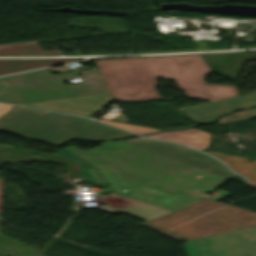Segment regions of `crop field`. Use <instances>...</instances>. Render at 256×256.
<instances>
[{
    "instance_id": "3",
    "label": "crop field",
    "mask_w": 256,
    "mask_h": 256,
    "mask_svg": "<svg viewBox=\"0 0 256 256\" xmlns=\"http://www.w3.org/2000/svg\"><path fill=\"white\" fill-rule=\"evenodd\" d=\"M84 152L142 182L194 167L124 141L102 143Z\"/></svg>"
},
{
    "instance_id": "9",
    "label": "crop field",
    "mask_w": 256,
    "mask_h": 256,
    "mask_svg": "<svg viewBox=\"0 0 256 256\" xmlns=\"http://www.w3.org/2000/svg\"><path fill=\"white\" fill-rule=\"evenodd\" d=\"M114 97L109 91L64 97L27 104L26 106L50 109L71 114L91 117L106 105L111 103Z\"/></svg>"
},
{
    "instance_id": "21",
    "label": "crop field",
    "mask_w": 256,
    "mask_h": 256,
    "mask_svg": "<svg viewBox=\"0 0 256 256\" xmlns=\"http://www.w3.org/2000/svg\"><path fill=\"white\" fill-rule=\"evenodd\" d=\"M53 76L56 77L59 81H62V80L74 78L75 74L73 72H69V73H63V74H56Z\"/></svg>"
},
{
    "instance_id": "18",
    "label": "crop field",
    "mask_w": 256,
    "mask_h": 256,
    "mask_svg": "<svg viewBox=\"0 0 256 256\" xmlns=\"http://www.w3.org/2000/svg\"><path fill=\"white\" fill-rule=\"evenodd\" d=\"M96 120H99V119H96ZM99 121H102L104 123L116 126L118 128H121V129H124V130H127V131H130V132L138 134V135L158 131V130H154V129L138 127V126L122 124V123H116V122H111V121H105V120H99Z\"/></svg>"
},
{
    "instance_id": "7",
    "label": "crop field",
    "mask_w": 256,
    "mask_h": 256,
    "mask_svg": "<svg viewBox=\"0 0 256 256\" xmlns=\"http://www.w3.org/2000/svg\"><path fill=\"white\" fill-rule=\"evenodd\" d=\"M227 180L228 179L226 178L194 167L145 183L158 185L171 190L192 194L202 198L217 200L233 194L220 190L218 192L223 197H209L205 192L215 190Z\"/></svg>"
},
{
    "instance_id": "16",
    "label": "crop field",
    "mask_w": 256,
    "mask_h": 256,
    "mask_svg": "<svg viewBox=\"0 0 256 256\" xmlns=\"http://www.w3.org/2000/svg\"><path fill=\"white\" fill-rule=\"evenodd\" d=\"M56 50L42 52L37 43L0 49V55H59Z\"/></svg>"
},
{
    "instance_id": "12",
    "label": "crop field",
    "mask_w": 256,
    "mask_h": 256,
    "mask_svg": "<svg viewBox=\"0 0 256 256\" xmlns=\"http://www.w3.org/2000/svg\"><path fill=\"white\" fill-rule=\"evenodd\" d=\"M103 199L105 203L109 204L110 206L119 210H123L145 221H148L155 217L171 212L168 210H164L146 203L131 200L115 194L109 195Z\"/></svg>"
},
{
    "instance_id": "22",
    "label": "crop field",
    "mask_w": 256,
    "mask_h": 256,
    "mask_svg": "<svg viewBox=\"0 0 256 256\" xmlns=\"http://www.w3.org/2000/svg\"><path fill=\"white\" fill-rule=\"evenodd\" d=\"M9 85H7L3 80L0 79V93L8 92V91H13Z\"/></svg>"
},
{
    "instance_id": "14",
    "label": "crop field",
    "mask_w": 256,
    "mask_h": 256,
    "mask_svg": "<svg viewBox=\"0 0 256 256\" xmlns=\"http://www.w3.org/2000/svg\"><path fill=\"white\" fill-rule=\"evenodd\" d=\"M76 59L66 60H0V75L32 68H38L59 63L74 62Z\"/></svg>"
},
{
    "instance_id": "19",
    "label": "crop field",
    "mask_w": 256,
    "mask_h": 256,
    "mask_svg": "<svg viewBox=\"0 0 256 256\" xmlns=\"http://www.w3.org/2000/svg\"><path fill=\"white\" fill-rule=\"evenodd\" d=\"M249 107H256V92L241 95L238 98L236 110L245 109Z\"/></svg>"
},
{
    "instance_id": "2",
    "label": "crop field",
    "mask_w": 256,
    "mask_h": 256,
    "mask_svg": "<svg viewBox=\"0 0 256 256\" xmlns=\"http://www.w3.org/2000/svg\"><path fill=\"white\" fill-rule=\"evenodd\" d=\"M0 131L51 145L74 138L105 141L133 136L85 118L18 106L0 117Z\"/></svg>"
},
{
    "instance_id": "5",
    "label": "crop field",
    "mask_w": 256,
    "mask_h": 256,
    "mask_svg": "<svg viewBox=\"0 0 256 256\" xmlns=\"http://www.w3.org/2000/svg\"><path fill=\"white\" fill-rule=\"evenodd\" d=\"M188 256H256V225L184 244Z\"/></svg>"
},
{
    "instance_id": "23",
    "label": "crop field",
    "mask_w": 256,
    "mask_h": 256,
    "mask_svg": "<svg viewBox=\"0 0 256 256\" xmlns=\"http://www.w3.org/2000/svg\"><path fill=\"white\" fill-rule=\"evenodd\" d=\"M12 107H13L12 105L0 104V116L3 115L5 112H7Z\"/></svg>"
},
{
    "instance_id": "17",
    "label": "crop field",
    "mask_w": 256,
    "mask_h": 256,
    "mask_svg": "<svg viewBox=\"0 0 256 256\" xmlns=\"http://www.w3.org/2000/svg\"><path fill=\"white\" fill-rule=\"evenodd\" d=\"M256 117V109H251L247 111L237 112L226 117H223L219 120V123L222 125L237 122L240 120Z\"/></svg>"
},
{
    "instance_id": "13",
    "label": "crop field",
    "mask_w": 256,
    "mask_h": 256,
    "mask_svg": "<svg viewBox=\"0 0 256 256\" xmlns=\"http://www.w3.org/2000/svg\"><path fill=\"white\" fill-rule=\"evenodd\" d=\"M210 136V134L195 129L177 132H161L150 135V137L184 143L201 151H203L208 146L210 142Z\"/></svg>"
},
{
    "instance_id": "10",
    "label": "crop field",
    "mask_w": 256,
    "mask_h": 256,
    "mask_svg": "<svg viewBox=\"0 0 256 256\" xmlns=\"http://www.w3.org/2000/svg\"><path fill=\"white\" fill-rule=\"evenodd\" d=\"M186 208L202 212L228 224H231L237 228L256 224V212L216 201H211L208 199Z\"/></svg>"
},
{
    "instance_id": "20",
    "label": "crop field",
    "mask_w": 256,
    "mask_h": 256,
    "mask_svg": "<svg viewBox=\"0 0 256 256\" xmlns=\"http://www.w3.org/2000/svg\"><path fill=\"white\" fill-rule=\"evenodd\" d=\"M81 78L83 81H88V80H94V79H100L102 78L100 72L98 69L96 70H90V71H80L79 72Z\"/></svg>"
},
{
    "instance_id": "4",
    "label": "crop field",
    "mask_w": 256,
    "mask_h": 256,
    "mask_svg": "<svg viewBox=\"0 0 256 256\" xmlns=\"http://www.w3.org/2000/svg\"><path fill=\"white\" fill-rule=\"evenodd\" d=\"M1 79L16 91L0 94V101L14 104L109 90L104 79L63 86L46 69Z\"/></svg>"
},
{
    "instance_id": "11",
    "label": "crop field",
    "mask_w": 256,
    "mask_h": 256,
    "mask_svg": "<svg viewBox=\"0 0 256 256\" xmlns=\"http://www.w3.org/2000/svg\"><path fill=\"white\" fill-rule=\"evenodd\" d=\"M237 97H231L207 104L179 109L181 113L197 124H210L220 116L233 112ZM229 114V113H228Z\"/></svg>"
},
{
    "instance_id": "1",
    "label": "crop field",
    "mask_w": 256,
    "mask_h": 256,
    "mask_svg": "<svg viewBox=\"0 0 256 256\" xmlns=\"http://www.w3.org/2000/svg\"><path fill=\"white\" fill-rule=\"evenodd\" d=\"M116 100H147L160 96L154 90L155 77H172L196 100L215 101L237 95L236 87L205 85L202 78L211 70L200 55L96 62Z\"/></svg>"
},
{
    "instance_id": "6",
    "label": "crop field",
    "mask_w": 256,
    "mask_h": 256,
    "mask_svg": "<svg viewBox=\"0 0 256 256\" xmlns=\"http://www.w3.org/2000/svg\"><path fill=\"white\" fill-rule=\"evenodd\" d=\"M145 224L175 232L187 240L235 229L204 214L185 209L171 212Z\"/></svg>"
},
{
    "instance_id": "8",
    "label": "crop field",
    "mask_w": 256,
    "mask_h": 256,
    "mask_svg": "<svg viewBox=\"0 0 256 256\" xmlns=\"http://www.w3.org/2000/svg\"><path fill=\"white\" fill-rule=\"evenodd\" d=\"M124 141L197 166L228 179L233 176V174L216 159L187 148L183 145L142 138H135Z\"/></svg>"
},
{
    "instance_id": "24",
    "label": "crop field",
    "mask_w": 256,
    "mask_h": 256,
    "mask_svg": "<svg viewBox=\"0 0 256 256\" xmlns=\"http://www.w3.org/2000/svg\"><path fill=\"white\" fill-rule=\"evenodd\" d=\"M31 43H33V42H31ZM23 44H27V43H23ZM15 45H21V44H14V45L0 46V48H5V47H10V46H15Z\"/></svg>"
},
{
    "instance_id": "15",
    "label": "crop field",
    "mask_w": 256,
    "mask_h": 256,
    "mask_svg": "<svg viewBox=\"0 0 256 256\" xmlns=\"http://www.w3.org/2000/svg\"><path fill=\"white\" fill-rule=\"evenodd\" d=\"M52 155L62 157L68 160H71L73 162H76L80 164V169H81V175H82V180L87 181L93 184H104L105 181L99 176V174L92 168V166L88 165L85 163L83 160L75 157L73 154H71L69 151L63 149L59 152H56Z\"/></svg>"
}]
</instances>
